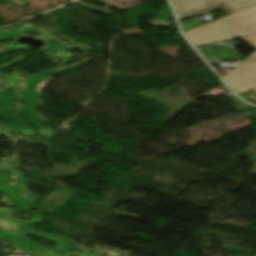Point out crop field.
Returning <instances> with one entry per match:
<instances>
[{
    "mask_svg": "<svg viewBox=\"0 0 256 256\" xmlns=\"http://www.w3.org/2000/svg\"><path fill=\"white\" fill-rule=\"evenodd\" d=\"M71 1H74V0H71Z\"/></svg>",
    "mask_w": 256,
    "mask_h": 256,
    "instance_id": "crop-field-6",
    "label": "crop field"
},
{
    "mask_svg": "<svg viewBox=\"0 0 256 256\" xmlns=\"http://www.w3.org/2000/svg\"><path fill=\"white\" fill-rule=\"evenodd\" d=\"M172 2L180 21L218 8L232 15L256 6V0H172Z\"/></svg>",
    "mask_w": 256,
    "mask_h": 256,
    "instance_id": "crop-field-2",
    "label": "crop field"
},
{
    "mask_svg": "<svg viewBox=\"0 0 256 256\" xmlns=\"http://www.w3.org/2000/svg\"><path fill=\"white\" fill-rule=\"evenodd\" d=\"M173 17V12L169 4H166L161 13L157 16V19H161L163 21Z\"/></svg>",
    "mask_w": 256,
    "mask_h": 256,
    "instance_id": "crop-field-3",
    "label": "crop field"
},
{
    "mask_svg": "<svg viewBox=\"0 0 256 256\" xmlns=\"http://www.w3.org/2000/svg\"><path fill=\"white\" fill-rule=\"evenodd\" d=\"M252 88H254L255 90L254 91H256V82H254V83H251V84H249Z\"/></svg>",
    "mask_w": 256,
    "mask_h": 256,
    "instance_id": "crop-field-5",
    "label": "crop field"
},
{
    "mask_svg": "<svg viewBox=\"0 0 256 256\" xmlns=\"http://www.w3.org/2000/svg\"><path fill=\"white\" fill-rule=\"evenodd\" d=\"M254 89H252L250 86L246 85V86H243L241 88H238V89H235V91L241 95V94H244L246 92H249V91H252Z\"/></svg>",
    "mask_w": 256,
    "mask_h": 256,
    "instance_id": "crop-field-4",
    "label": "crop field"
},
{
    "mask_svg": "<svg viewBox=\"0 0 256 256\" xmlns=\"http://www.w3.org/2000/svg\"><path fill=\"white\" fill-rule=\"evenodd\" d=\"M186 34L195 46L240 37L256 48V7L193 29ZM237 69L239 71L224 76L233 89L256 81V52Z\"/></svg>",
    "mask_w": 256,
    "mask_h": 256,
    "instance_id": "crop-field-1",
    "label": "crop field"
}]
</instances>
